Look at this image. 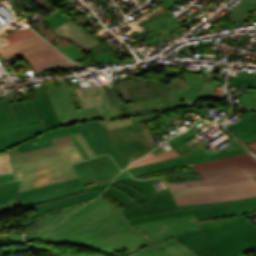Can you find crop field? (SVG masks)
Instances as JSON below:
<instances>
[{
	"label": "crop field",
	"instance_id": "733c2abd",
	"mask_svg": "<svg viewBox=\"0 0 256 256\" xmlns=\"http://www.w3.org/2000/svg\"><path fill=\"white\" fill-rule=\"evenodd\" d=\"M76 90L85 109L97 106L99 111H101L123 104L114 83H110L104 87Z\"/></svg>",
	"mask_w": 256,
	"mask_h": 256
},
{
	"label": "crop field",
	"instance_id": "73cf0c24",
	"mask_svg": "<svg viewBox=\"0 0 256 256\" xmlns=\"http://www.w3.org/2000/svg\"><path fill=\"white\" fill-rule=\"evenodd\" d=\"M106 31H107V30L104 28V29H102L100 32L94 34V36L99 37L100 35H102V34H103L104 32H106Z\"/></svg>",
	"mask_w": 256,
	"mask_h": 256
},
{
	"label": "crop field",
	"instance_id": "d3111659",
	"mask_svg": "<svg viewBox=\"0 0 256 256\" xmlns=\"http://www.w3.org/2000/svg\"><path fill=\"white\" fill-rule=\"evenodd\" d=\"M174 111H188V109L175 110V108H171V109L154 110V111H147V112H141V113H133L131 119L135 124L138 122H145V121L157 119L158 116L156 113L174 112Z\"/></svg>",
	"mask_w": 256,
	"mask_h": 256
},
{
	"label": "crop field",
	"instance_id": "cbeb9de0",
	"mask_svg": "<svg viewBox=\"0 0 256 256\" xmlns=\"http://www.w3.org/2000/svg\"><path fill=\"white\" fill-rule=\"evenodd\" d=\"M35 100L12 104L18 121L42 116L45 126L62 127L47 91L34 93Z\"/></svg>",
	"mask_w": 256,
	"mask_h": 256
},
{
	"label": "crop field",
	"instance_id": "b54c1fbb",
	"mask_svg": "<svg viewBox=\"0 0 256 256\" xmlns=\"http://www.w3.org/2000/svg\"><path fill=\"white\" fill-rule=\"evenodd\" d=\"M73 137L75 139V145L77 146V148L80 150V152L82 153V155L84 156L85 159H88L89 156L87 155V153L85 152V150L83 149V147L80 145V143L78 142V140L76 139V137L73 134Z\"/></svg>",
	"mask_w": 256,
	"mask_h": 256
},
{
	"label": "crop field",
	"instance_id": "34b2d1b8",
	"mask_svg": "<svg viewBox=\"0 0 256 256\" xmlns=\"http://www.w3.org/2000/svg\"><path fill=\"white\" fill-rule=\"evenodd\" d=\"M202 121L198 120L187 132L168 141L181 157L129 169L128 172L137 179L162 176L167 183L197 180L201 178L190 164L246 153L244 148L231 137H229L231 142L228 145L213 153L204 147L208 142L203 138V142L190 148L182 144L198 133L195 128L201 125Z\"/></svg>",
	"mask_w": 256,
	"mask_h": 256
},
{
	"label": "crop field",
	"instance_id": "dd49c442",
	"mask_svg": "<svg viewBox=\"0 0 256 256\" xmlns=\"http://www.w3.org/2000/svg\"><path fill=\"white\" fill-rule=\"evenodd\" d=\"M71 135L52 139L54 146L18 154L17 148L9 150L15 180L33 173L60 168L81 160V153Z\"/></svg>",
	"mask_w": 256,
	"mask_h": 256
},
{
	"label": "crop field",
	"instance_id": "bc2a9ffb",
	"mask_svg": "<svg viewBox=\"0 0 256 256\" xmlns=\"http://www.w3.org/2000/svg\"><path fill=\"white\" fill-rule=\"evenodd\" d=\"M130 117L131 113L122 105L105 111L79 116L78 119L80 122L99 120L101 124L105 123L111 130L133 124Z\"/></svg>",
	"mask_w": 256,
	"mask_h": 256
},
{
	"label": "crop field",
	"instance_id": "4a817a6b",
	"mask_svg": "<svg viewBox=\"0 0 256 256\" xmlns=\"http://www.w3.org/2000/svg\"><path fill=\"white\" fill-rule=\"evenodd\" d=\"M77 177V174L71 166L53 171L38 173L20 180V192Z\"/></svg>",
	"mask_w": 256,
	"mask_h": 256
},
{
	"label": "crop field",
	"instance_id": "89e229c0",
	"mask_svg": "<svg viewBox=\"0 0 256 256\" xmlns=\"http://www.w3.org/2000/svg\"><path fill=\"white\" fill-rule=\"evenodd\" d=\"M249 147H251L256 152V143L249 145Z\"/></svg>",
	"mask_w": 256,
	"mask_h": 256
},
{
	"label": "crop field",
	"instance_id": "412701ff",
	"mask_svg": "<svg viewBox=\"0 0 256 256\" xmlns=\"http://www.w3.org/2000/svg\"><path fill=\"white\" fill-rule=\"evenodd\" d=\"M106 192L126 207L122 208L121 211L127 219L178 209L217 206L256 200V197H252L226 202L177 206L169 188L161 178L147 181L128 180L110 186Z\"/></svg>",
	"mask_w": 256,
	"mask_h": 256
},
{
	"label": "crop field",
	"instance_id": "5a996713",
	"mask_svg": "<svg viewBox=\"0 0 256 256\" xmlns=\"http://www.w3.org/2000/svg\"><path fill=\"white\" fill-rule=\"evenodd\" d=\"M22 54L34 72L77 66L36 33L14 44L0 48L5 60Z\"/></svg>",
	"mask_w": 256,
	"mask_h": 256
},
{
	"label": "crop field",
	"instance_id": "f4fd0767",
	"mask_svg": "<svg viewBox=\"0 0 256 256\" xmlns=\"http://www.w3.org/2000/svg\"><path fill=\"white\" fill-rule=\"evenodd\" d=\"M183 76L189 86L176 91H169L158 85L129 80L136 102L124 105L133 113L179 106L193 107L202 98L227 99L209 93L214 83L213 80L186 71H183Z\"/></svg>",
	"mask_w": 256,
	"mask_h": 256
},
{
	"label": "crop field",
	"instance_id": "120bbe31",
	"mask_svg": "<svg viewBox=\"0 0 256 256\" xmlns=\"http://www.w3.org/2000/svg\"><path fill=\"white\" fill-rule=\"evenodd\" d=\"M12 244H23V238L18 234L0 235V247L12 245Z\"/></svg>",
	"mask_w": 256,
	"mask_h": 256
},
{
	"label": "crop field",
	"instance_id": "ae1a2a85",
	"mask_svg": "<svg viewBox=\"0 0 256 256\" xmlns=\"http://www.w3.org/2000/svg\"><path fill=\"white\" fill-rule=\"evenodd\" d=\"M18 122L6 98L0 100V126Z\"/></svg>",
	"mask_w": 256,
	"mask_h": 256
},
{
	"label": "crop field",
	"instance_id": "8a807250",
	"mask_svg": "<svg viewBox=\"0 0 256 256\" xmlns=\"http://www.w3.org/2000/svg\"><path fill=\"white\" fill-rule=\"evenodd\" d=\"M27 236L41 242L77 245L111 256H126L155 245L143 231L130 228L122 213L100 197L56 228Z\"/></svg>",
	"mask_w": 256,
	"mask_h": 256
},
{
	"label": "crop field",
	"instance_id": "d8731c3e",
	"mask_svg": "<svg viewBox=\"0 0 256 256\" xmlns=\"http://www.w3.org/2000/svg\"><path fill=\"white\" fill-rule=\"evenodd\" d=\"M203 180L168 184L170 189L199 187L256 177V159L242 154L192 165Z\"/></svg>",
	"mask_w": 256,
	"mask_h": 256
},
{
	"label": "crop field",
	"instance_id": "730fd06b",
	"mask_svg": "<svg viewBox=\"0 0 256 256\" xmlns=\"http://www.w3.org/2000/svg\"><path fill=\"white\" fill-rule=\"evenodd\" d=\"M78 185H82V182L79 178L74 179V180L60 182V183H55V184L47 185V186L40 187L37 189H33V190H30L27 192H23V193H20L16 197V199H17V201H20L23 199H27V198H31V197H35V196H39V195L67 189V188H71V187L78 186Z\"/></svg>",
	"mask_w": 256,
	"mask_h": 256
},
{
	"label": "crop field",
	"instance_id": "eef30255",
	"mask_svg": "<svg viewBox=\"0 0 256 256\" xmlns=\"http://www.w3.org/2000/svg\"><path fill=\"white\" fill-rule=\"evenodd\" d=\"M19 192V180L0 184V205L15 198Z\"/></svg>",
	"mask_w": 256,
	"mask_h": 256
},
{
	"label": "crop field",
	"instance_id": "ac0d7876",
	"mask_svg": "<svg viewBox=\"0 0 256 256\" xmlns=\"http://www.w3.org/2000/svg\"><path fill=\"white\" fill-rule=\"evenodd\" d=\"M250 214L198 220L201 229L177 235L184 245L198 256H240L256 250V227L245 217Z\"/></svg>",
	"mask_w": 256,
	"mask_h": 256
},
{
	"label": "crop field",
	"instance_id": "0bd39190",
	"mask_svg": "<svg viewBox=\"0 0 256 256\" xmlns=\"http://www.w3.org/2000/svg\"><path fill=\"white\" fill-rule=\"evenodd\" d=\"M179 0H167L163 5L153 10L157 15L171 8L174 4H176Z\"/></svg>",
	"mask_w": 256,
	"mask_h": 256
},
{
	"label": "crop field",
	"instance_id": "3316defc",
	"mask_svg": "<svg viewBox=\"0 0 256 256\" xmlns=\"http://www.w3.org/2000/svg\"><path fill=\"white\" fill-rule=\"evenodd\" d=\"M102 127L128 163L158 146L143 123L125 126L112 131H109L105 124Z\"/></svg>",
	"mask_w": 256,
	"mask_h": 256
},
{
	"label": "crop field",
	"instance_id": "4177f3b9",
	"mask_svg": "<svg viewBox=\"0 0 256 256\" xmlns=\"http://www.w3.org/2000/svg\"><path fill=\"white\" fill-rule=\"evenodd\" d=\"M101 193H103V191L95 190V191L87 192V193L77 195V196H74L71 198L62 199V200H58V201H54V202L36 206L35 210L37 212L34 213L33 215H31V219H33L34 217H36L38 215H41V214L49 212L51 210L60 208L65 205L77 203V202L84 201V200L91 199V198H95L98 195H100Z\"/></svg>",
	"mask_w": 256,
	"mask_h": 256
},
{
	"label": "crop field",
	"instance_id": "d32e631a",
	"mask_svg": "<svg viewBox=\"0 0 256 256\" xmlns=\"http://www.w3.org/2000/svg\"><path fill=\"white\" fill-rule=\"evenodd\" d=\"M64 13L61 11H58L52 15H50L45 21L50 25V27L53 29L57 27L58 25L64 23L65 21L69 20L66 17H64Z\"/></svg>",
	"mask_w": 256,
	"mask_h": 256
},
{
	"label": "crop field",
	"instance_id": "dafd665d",
	"mask_svg": "<svg viewBox=\"0 0 256 256\" xmlns=\"http://www.w3.org/2000/svg\"><path fill=\"white\" fill-rule=\"evenodd\" d=\"M82 127H83V123H80L77 125H73L71 127L56 128L54 130H50V131L43 133V134L31 139L30 141L18 146L17 147L18 152L21 153V152L38 149V148L51 146L52 143H51L50 139L68 135V134H72V133L81 132Z\"/></svg>",
	"mask_w": 256,
	"mask_h": 256
},
{
	"label": "crop field",
	"instance_id": "214f88e0",
	"mask_svg": "<svg viewBox=\"0 0 256 256\" xmlns=\"http://www.w3.org/2000/svg\"><path fill=\"white\" fill-rule=\"evenodd\" d=\"M50 126L37 124L30 127L0 133V153L9 150L43 132L50 130Z\"/></svg>",
	"mask_w": 256,
	"mask_h": 256
},
{
	"label": "crop field",
	"instance_id": "b80d0937",
	"mask_svg": "<svg viewBox=\"0 0 256 256\" xmlns=\"http://www.w3.org/2000/svg\"><path fill=\"white\" fill-rule=\"evenodd\" d=\"M31 1H33L36 4L40 5L41 7H43L48 12L57 10V8L55 6H53V5H51L50 2L47 1V0H31Z\"/></svg>",
	"mask_w": 256,
	"mask_h": 256
},
{
	"label": "crop field",
	"instance_id": "28ad6ade",
	"mask_svg": "<svg viewBox=\"0 0 256 256\" xmlns=\"http://www.w3.org/2000/svg\"><path fill=\"white\" fill-rule=\"evenodd\" d=\"M214 191L174 196L178 205L225 201L256 196L254 178L213 186Z\"/></svg>",
	"mask_w": 256,
	"mask_h": 256
},
{
	"label": "crop field",
	"instance_id": "5d738f31",
	"mask_svg": "<svg viewBox=\"0 0 256 256\" xmlns=\"http://www.w3.org/2000/svg\"><path fill=\"white\" fill-rule=\"evenodd\" d=\"M251 19H256V6L251 11V13L245 18L243 22L248 23Z\"/></svg>",
	"mask_w": 256,
	"mask_h": 256
},
{
	"label": "crop field",
	"instance_id": "e1f06a70",
	"mask_svg": "<svg viewBox=\"0 0 256 256\" xmlns=\"http://www.w3.org/2000/svg\"><path fill=\"white\" fill-rule=\"evenodd\" d=\"M213 190L212 186L172 190L174 195Z\"/></svg>",
	"mask_w": 256,
	"mask_h": 256
},
{
	"label": "crop field",
	"instance_id": "028f5c9d",
	"mask_svg": "<svg viewBox=\"0 0 256 256\" xmlns=\"http://www.w3.org/2000/svg\"><path fill=\"white\" fill-rule=\"evenodd\" d=\"M35 32L28 30V29H21L19 31L12 32L8 35H5L10 43H14L20 39H23Z\"/></svg>",
	"mask_w": 256,
	"mask_h": 256
},
{
	"label": "crop field",
	"instance_id": "d9b57169",
	"mask_svg": "<svg viewBox=\"0 0 256 256\" xmlns=\"http://www.w3.org/2000/svg\"><path fill=\"white\" fill-rule=\"evenodd\" d=\"M82 135L96 156L108 153L120 169L127 167L128 163L110 141L98 121L84 123Z\"/></svg>",
	"mask_w": 256,
	"mask_h": 256
},
{
	"label": "crop field",
	"instance_id": "22f410ed",
	"mask_svg": "<svg viewBox=\"0 0 256 256\" xmlns=\"http://www.w3.org/2000/svg\"><path fill=\"white\" fill-rule=\"evenodd\" d=\"M71 88L73 90V95L81 109V111H76L75 105L63 83L62 79L59 80H52V81H46L44 82L52 99L53 105L55 107L56 113L58 115V118L64 127L65 124L63 122L64 119L72 117V116H79L83 114L93 113L97 112V107L84 110L81 104V101L76 93L75 87L71 81L70 78H67ZM77 119V117H76ZM78 123L79 120L77 119Z\"/></svg>",
	"mask_w": 256,
	"mask_h": 256
},
{
	"label": "crop field",
	"instance_id": "5142ce71",
	"mask_svg": "<svg viewBox=\"0 0 256 256\" xmlns=\"http://www.w3.org/2000/svg\"><path fill=\"white\" fill-rule=\"evenodd\" d=\"M85 186L114 179L121 172L108 155H102L73 165Z\"/></svg>",
	"mask_w": 256,
	"mask_h": 256
},
{
	"label": "crop field",
	"instance_id": "5866460e",
	"mask_svg": "<svg viewBox=\"0 0 256 256\" xmlns=\"http://www.w3.org/2000/svg\"><path fill=\"white\" fill-rule=\"evenodd\" d=\"M13 173L10 165V160L8 152H3V155L0 154V175Z\"/></svg>",
	"mask_w": 256,
	"mask_h": 256
},
{
	"label": "crop field",
	"instance_id": "00972430",
	"mask_svg": "<svg viewBox=\"0 0 256 256\" xmlns=\"http://www.w3.org/2000/svg\"><path fill=\"white\" fill-rule=\"evenodd\" d=\"M53 30L57 36H67L82 47H91L100 43V41L81 28L73 20H69Z\"/></svg>",
	"mask_w": 256,
	"mask_h": 256
},
{
	"label": "crop field",
	"instance_id": "03da06ac",
	"mask_svg": "<svg viewBox=\"0 0 256 256\" xmlns=\"http://www.w3.org/2000/svg\"><path fill=\"white\" fill-rule=\"evenodd\" d=\"M97 58H99L102 62L104 63H117L116 61H114L112 58H110L107 54H105L104 52H101L97 55H95Z\"/></svg>",
	"mask_w": 256,
	"mask_h": 256
},
{
	"label": "crop field",
	"instance_id": "d23c7cc5",
	"mask_svg": "<svg viewBox=\"0 0 256 256\" xmlns=\"http://www.w3.org/2000/svg\"><path fill=\"white\" fill-rule=\"evenodd\" d=\"M64 121H65V123H66V125H67V126H71V125H73V124H76V123H77V121H76L75 117H72V118L66 119V120H64Z\"/></svg>",
	"mask_w": 256,
	"mask_h": 256
},
{
	"label": "crop field",
	"instance_id": "425ffa30",
	"mask_svg": "<svg viewBox=\"0 0 256 256\" xmlns=\"http://www.w3.org/2000/svg\"><path fill=\"white\" fill-rule=\"evenodd\" d=\"M9 179H12V174L11 175H5V176H0V183L1 182H7Z\"/></svg>",
	"mask_w": 256,
	"mask_h": 256
},
{
	"label": "crop field",
	"instance_id": "92a150f3",
	"mask_svg": "<svg viewBox=\"0 0 256 256\" xmlns=\"http://www.w3.org/2000/svg\"><path fill=\"white\" fill-rule=\"evenodd\" d=\"M142 25L151 33L146 42L155 44L161 36L176 30L183 26L167 11L142 23Z\"/></svg>",
	"mask_w": 256,
	"mask_h": 256
},
{
	"label": "crop field",
	"instance_id": "c21b1889",
	"mask_svg": "<svg viewBox=\"0 0 256 256\" xmlns=\"http://www.w3.org/2000/svg\"><path fill=\"white\" fill-rule=\"evenodd\" d=\"M131 178L133 177H131L129 173L125 170L123 173L119 174V176L114 180V182L111 185L131 179Z\"/></svg>",
	"mask_w": 256,
	"mask_h": 256
},
{
	"label": "crop field",
	"instance_id": "d1516ede",
	"mask_svg": "<svg viewBox=\"0 0 256 256\" xmlns=\"http://www.w3.org/2000/svg\"><path fill=\"white\" fill-rule=\"evenodd\" d=\"M254 210H256V201H251V202L230 204V205L217 206V207L179 210L175 212H169V213L131 219V220H128V222L130 223V225H133V224L150 222L154 220L174 218V217L191 214V213H194L197 220L210 219V218L242 215V214L250 213Z\"/></svg>",
	"mask_w": 256,
	"mask_h": 256
},
{
	"label": "crop field",
	"instance_id": "c035e120",
	"mask_svg": "<svg viewBox=\"0 0 256 256\" xmlns=\"http://www.w3.org/2000/svg\"><path fill=\"white\" fill-rule=\"evenodd\" d=\"M75 136L77 137L81 145L84 147V149L86 150L90 158L95 157L94 153L92 152V150L90 149V147L88 146V144L86 143L82 135L80 133H77L75 134Z\"/></svg>",
	"mask_w": 256,
	"mask_h": 256
},
{
	"label": "crop field",
	"instance_id": "1d83c4d3",
	"mask_svg": "<svg viewBox=\"0 0 256 256\" xmlns=\"http://www.w3.org/2000/svg\"><path fill=\"white\" fill-rule=\"evenodd\" d=\"M178 156L179 155L177 154V152L175 150H173V151H169V152L157 155L155 157L131 164L128 168H132V167H136V166H140V165H144V164H148V163H152V162H156V161H160V160H165V159H169V158H174V157H178Z\"/></svg>",
	"mask_w": 256,
	"mask_h": 256
},
{
	"label": "crop field",
	"instance_id": "a9b5d70f",
	"mask_svg": "<svg viewBox=\"0 0 256 256\" xmlns=\"http://www.w3.org/2000/svg\"><path fill=\"white\" fill-rule=\"evenodd\" d=\"M242 120L226 128L247 145L256 142V113H248Z\"/></svg>",
	"mask_w": 256,
	"mask_h": 256
},
{
	"label": "crop field",
	"instance_id": "e52e79f7",
	"mask_svg": "<svg viewBox=\"0 0 256 256\" xmlns=\"http://www.w3.org/2000/svg\"><path fill=\"white\" fill-rule=\"evenodd\" d=\"M132 228L143 229L158 245L129 256H197L192 250L173 238L177 234L199 229L193 214L175 219L134 225Z\"/></svg>",
	"mask_w": 256,
	"mask_h": 256
},
{
	"label": "crop field",
	"instance_id": "bd1437ed",
	"mask_svg": "<svg viewBox=\"0 0 256 256\" xmlns=\"http://www.w3.org/2000/svg\"><path fill=\"white\" fill-rule=\"evenodd\" d=\"M56 48L75 61L86 58V56L74 44L66 47L56 46Z\"/></svg>",
	"mask_w": 256,
	"mask_h": 256
},
{
	"label": "crop field",
	"instance_id": "750c4746",
	"mask_svg": "<svg viewBox=\"0 0 256 256\" xmlns=\"http://www.w3.org/2000/svg\"><path fill=\"white\" fill-rule=\"evenodd\" d=\"M255 74L240 72L237 78L231 77L230 83L239 86H256V81L253 80Z\"/></svg>",
	"mask_w": 256,
	"mask_h": 256
},
{
	"label": "crop field",
	"instance_id": "25e5ab78",
	"mask_svg": "<svg viewBox=\"0 0 256 256\" xmlns=\"http://www.w3.org/2000/svg\"><path fill=\"white\" fill-rule=\"evenodd\" d=\"M152 156H154V154H152V153L150 152L148 155H146V156H144V157H142V158L138 159L137 161H140V160H143V159H146V158L152 157ZM137 161H135V162H137ZM133 163H134V162H133Z\"/></svg>",
	"mask_w": 256,
	"mask_h": 256
}]
</instances>
